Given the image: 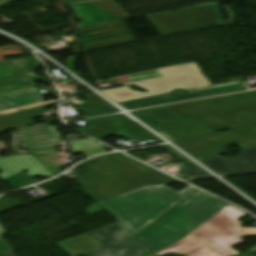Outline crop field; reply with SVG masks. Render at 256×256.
I'll use <instances>...</instances> for the list:
<instances>
[{
	"instance_id": "8a807250",
	"label": "crop field",
	"mask_w": 256,
	"mask_h": 256,
	"mask_svg": "<svg viewBox=\"0 0 256 256\" xmlns=\"http://www.w3.org/2000/svg\"><path fill=\"white\" fill-rule=\"evenodd\" d=\"M100 162L90 164L91 171L76 179L97 202L150 184L177 180L118 153L96 157Z\"/></svg>"
},
{
	"instance_id": "ac0d7876",
	"label": "crop field",
	"mask_w": 256,
	"mask_h": 256,
	"mask_svg": "<svg viewBox=\"0 0 256 256\" xmlns=\"http://www.w3.org/2000/svg\"><path fill=\"white\" fill-rule=\"evenodd\" d=\"M245 213L226 206L182 240L157 256H232L239 254L230 247L242 242L239 237L256 236V228H240L238 218Z\"/></svg>"
},
{
	"instance_id": "34b2d1b8",
	"label": "crop field",
	"mask_w": 256,
	"mask_h": 256,
	"mask_svg": "<svg viewBox=\"0 0 256 256\" xmlns=\"http://www.w3.org/2000/svg\"><path fill=\"white\" fill-rule=\"evenodd\" d=\"M195 190L188 186L178 193L162 185H151L100 204L136 236Z\"/></svg>"
},
{
	"instance_id": "412701ff",
	"label": "crop field",
	"mask_w": 256,
	"mask_h": 256,
	"mask_svg": "<svg viewBox=\"0 0 256 256\" xmlns=\"http://www.w3.org/2000/svg\"><path fill=\"white\" fill-rule=\"evenodd\" d=\"M226 205L198 191L137 237L156 254L182 239Z\"/></svg>"
},
{
	"instance_id": "f4fd0767",
	"label": "crop field",
	"mask_w": 256,
	"mask_h": 256,
	"mask_svg": "<svg viewBox=\"0 0 256 256\" xmlns=\"http://www.w3.org/2000/svg\"><path fill=\"white\" fill-rule=\"evenodd\" d=\"M56 244L71 256H141L149 252L118 222ZM10 249L0 237V256H14Z\"/></svg>"
},
{
	"instance_id": "dd49c442",
	"label": "crop field",
	"mask_w": 256,
	"mask_h": 256,
	"mask_svg": "<svg viewBox=\"0 0 256 256\" xmlns=\"http://www.w3.org/2000/svg\"><path fill=\"white\" fill-rule=\"evenodd\" d=\"M162 35L225 24L217 5H205L147 17Z\"/></svg>"
},
{
	"instance_id": "e52e79f7",
	"label": "crop field",
	"mask_w": 256,
	"mask_h": 256,
	"mask_svg": "<svg viewBox=\"0 0 256 256\" xmlns=\"http://www.w3.org/2000/svg\"><path fill=\"white\" fill-rule=\"evenodd\" d=\"M40 64L36 57L0 62V96L33 88V81H42L33 72Z\"/></svg>"
},
{
	"instance_id": "d8731c3e",
	"label": "crop field",
	"mask_w": 256,
	"mask_h": 256,
	"mask_svg": "<svg viewBox=\"0 0 256 256\" xmlns=\"http://www.w3.org/2000/svg\"><path fill=\"white\" fill-rule=\"evenodd\" d=\"M228 133L229 134L224 137L214 134L175 141L173 143H175L177 146H179L191 156L195 157L256 134V126L233 130L229 131ZM238 144L242 146L245 150L256 148V136L238 142Z\"/></svg>"
},
{
	"instance_id": "5a996713",
	"label": "crop field",
	"mask_w": 256,
	"mask_h": 256,
	"mask_svg": "<svg viewBox=\"0 0 256 256\" xmlns=\"http://www.w3.org/2000/svg\"><path fill=\"white\" fill-rule=\"evenodd\" d=\"M230 83L217 85V86H208L204 88H199L196 92L184 93V94H164L155 97L145 98L141 100L120 103L126 109H137L146 106L166 104L174 101H183L196 98H202L207 96L232 93L241 91L242 88L239 83L245 82L242 78L230 80Z\"/></svg>"
},
{
	"instance_id": "3316defc",
	"label": "crop field",
	"mask_w": 256,
	"mask_h": 256,
	"mask_svg": "<svg viewBox=\"0 0 256 256\" xmlns=\"http://www.w3.org/2000/svg\"><path fill=\"white\" fill-rule=\"evenodd\" d=\"M190 120L205 128L221 127L225 130L252 126L256 125V106L194 117Z\"/></svg>"
},
{
	"instance_id": "28ad6ade",
	"label": "crop field",
	"mask_w": 256,
	"mask_h": 256,
	"mask_svg": "<svg viewBox=\"0 0 256 256\" xmlns=\"http://www.w3.org/2000/svg\"><path fill=\"white\" fill-rule=\"evenodd\" d=\"M22 148L31 153L55 152L58 134L55 126L48 124L18 129Z\"/></svg>"
},
{
	"instance_id": "d1516ede",
	"label": "crop field",
	"mask_w": 256,
	"mask_h": 256,
	"mask_svg": "<svg viewBox=\"0 0 256 256\" xmlns=\"http://www.w3.org/2000/svg\"><path fill=\"white\" fill-rule=\"evenodd\" d=\"M100 28H103L104 30L81 34V32L100 29ZM78 31L82 37V39H80V40L82 42L84 51L90 50V49H95V48H100V47H104V46L134 41L131 34L129 33L126 26L124 25L123 21L106 24V25H101V26H96V27L80 29ZM106 32H109L110 34L84 38L87 36H92V35L106 33ZM110 37H113V38H110ZM104 38H110V39H105V40H101V41L88 43L89 41H92V40H98V39H104Z\"/></svg>"
},
{
	"instance_id": "22f410ed",
	"label": "crop field",
	"mask_w": 256,
	"mask_h": 256,
	"mask_svg": "<svg viewBox=\"0 0 256 256\" xmlns=\"http://www.w3.org/2000/svg\"><path fill=\"white\" fill-rule=\"evenodd\" d=\"M239 153L241 156L231 159L213 156L199 161L220 175L256 171V149Z\"/></svg>"
},
{
	"instance_id": "cbeb9de0",
	"label": "crop field",
	"mask_w": 256,
	"mask_h": 256,
	"mask_svg": "<svg viewBox=\"0 0 256 256\" xmlns=\"http://www.w3.org/2000/svg\"><path fill=\"white\" fill-rule=\"evenodd\" d=\"M0 178L4 179L21 171L28 170L31 176H53L32 155H21L0 159Z\"/></svg>"
},
{
	"instance_id": "5142ce71",
	"label": "crop field",
	"mask_w": 256,
	"mask_h": 256,
	"mask_svg": "<svg viewBox=\"0 0 256 256\" xmlns=\"http://www.w3.org/2000/svg\"><path fill=\"white\" fill-rule=\"evenodd\" d=\"M72 8L80 19L78 24L81 27L114 20L95 1L73 5Z\"/></svg>"
},
{
	"instance_id": "d9b57169",
	"label": "crop field",
	"mask_w": 256,
	"mask_h": 256,
	"mask_svg": "<svg viewBox=\"0 0 256 256\" xmlns=\"http://www.w3.org/2000/svg\"><path fill=\"white\" fill-rule=\"evenodd\" d=\"M165 108L174 111L180 115L194 116L227 111L226 109L215 105L210 99L165 106Z\"/></svg>"
},
{
	"instance_id": "733c2abd",
	"label": "crop field",
	"mask_w": 256,
	"mask_h": 256,
	"mask_svg": "<svg viewBox=\"0 0 256 256\" xmlns=\"http://www.w3.org/2000/svg\"><path fill=\"white\" fill-rule=\"evenodd\" d=\"M41 101L39 93L34 88L0 97V111Z\"/></svg>"
},
{
	"instance_id": "4a817a6b",
	"label": "crop field",
	"mask_w": 256,
	"mask_h": 256,
	"mask_svg": "<svg viewBox=\"0 0 256 256\" xmlns=\"http://www.w3.org/2000/svg\"><path fill=\"white\" fill-rule=\"evenodd\" d=\"M215 104L228 110L256 105L255 91L229 95L224 97L212 98Z\"/></svg>"
},
{
	"instance_id": "bc2a9ffb",
	"label": "crop field",
	"mask_w": 256,
	"mask_h": 256,
	"mask_svg": "<svg viewBox=\"0 0 256 256\" xmlns=\"http://www.w3.org/2000/svg\"><path fill=\"white\" fill-rule=\"evenodd\" d=\"M28 126V118L24 112L0 117V131Z\"/></svg>"
},
{
	"instance_id": "214f88e0",
	"label": "crop field",
	"mask_w": 256,
	"mask_h": 256,
	"mask_svg": "<svg viewBox=\"0 0 256 256\" xmlns=\"http://www.w3.org/2000/svg\"><path fill=\"white\" fill-rule=\"evenodd\" d=\"M43 165H45L54 175L61 172V165L57 154L34 155Z\"/></svg>"
},
{
	"instance_id": "92a150f3",
	"label": "crop field",
	"mask_w": 256,
	"mask_h": 256,
	"mask_svg": "<svg viewBox=\"0 0 256 256\" xmlns=\"http://www.w3.org/2000/svg\"><path fill=\"white\" fill-rule=\"evenodd\" d=\"M97 2L117 20L130 17L112 0H98Z\"/></svg>"
},
{
	"instance_id": "dafd665d",
	"label": "crop field",
	"mask_w": 256,
	"mask_h": 256,
	"mask_svg": "<svg viewBox=\"0 0 256 256\" xmlns=\"http://www.w3.org/2000/svg\"><path fill=\"white\" fill-rule=\"evenodd\" d=\"M182 174L189 179L211 176L190 161L183 164Z\"/></svg>"
},
{
	"instance_id": "00972430",
	"label": "crop field",
	"mask_w": 256,
	"mask_h": 256,
	"mask_svg": "<svg viewBox=\"0 0 256 256\" xmlns=\"http://www.w3.org/2000/svg\"><path fill=\"white\" fill-rule=\"evenodd\" d=\"M4 180L8 182L13 189L37 183L35 179L30 178L29 176L22 173L6 178Z\"/></svg>"
},
{
	"instance_id": "a9b5d70f",
	"label": "crop field",
	"mask_w": 256,
	"mask_h": 256,
	"mask_svg": "<svg viewBox=\"0 0 256 256\" xmlns=\"http://www.w3.org/2000/svg\"><path fill=\"white\" fill-rule=\"evenodd\" d=\"M73 154H81L85 157L95 155L99 152H105V147L95 143L84 147L72 149Z\"/></svg>"
},
{
	"instance_id": "4177f3b9",
	"label": "crop field",
	"mask_w": 256,
	"mask_h": 256,
	"mask_svg": "<svg viewBox=\"0 0 256 256\" xmlns=\"http://www.w3.org/2000/svg\"><path fill=\"white\" fill-rule=\"evenodd\" d=\"M79 111L82 112L83 114H85L86 116L91 117V116L115 113V112H118L119 110L115 109L114 107H112L110 105H106V106L80 109Z\"/></svg>"
},
{
	"instance_id": "730fd06b",
	"label": "crop field",
	"mask_w": 256,
	"mask_h": 256,
	"mask_svg": "<svg viewBox=\"0 0 256 256\" xmlns=\"http://www.w3.org/2000/svg\"><path fill=\"white\" fill-rule=\"evenodd\" d=\"M82 97L84 98V100L86 101L89 107L107 104L105 101H103L94 93L83 94Z\"/></svg>"
},
{
	"instance_id": "eef30255",
	"label": "crop field",
	"mask_w": 256,
	"mask_h": 256,
	"mask_svg": "<svg viewBox=\"0 0 256 256\" xmlns=\"http://www.w3.org/2000/svg\"><path fill=\"white\" fill-rule=\"evenodd\" d=\"M55 102H57V99L51 100V101H46V102H41V103H36V104H31V105H27V106L17 107V108L1 111L0 115L15 112V111H20V110H24V109H29V108H33V107H38V106H42V105H47V104H51V103H55Z\"/></svg>"
},
{
	"instance_id": "ae1a2a85",
	"label": "crop field",
	"mask_w": 256,
	"mask_h": 256,
	"mask_svg": "<svg viewBox=\"0 0 256 256\" xmlns=\"http://www.w3.org/2000/svg\"><path fill=\"white\" fill-rule=\"evenodd\" d=\"M10 135H11V140H12V143H10V146L15 154L29 153L26 150H19L15 132L10 133Z\"/></svg>"
},
{
	"instance_id": "d3111659",
	"label": "crop field",
	"mask_w": 256,
	"mask_h": 256,
	"mask_svg": "<svg viewBox=\"0 0 256 256\" xmlns=\"http://www.w3.org/2000/svg\"><path fill=\"white\" fill-rule=\"evenodd\" d=\"M159 169L173 175L175 173L178 172L179 168H180V164H173V165H167V166H161L158 167Z\"/></svg>"
},
{
	"instance_id": "750c4746",
	"label": "crop field",
	"mask_w": 256,
	"mask_h": 256,
	"mask_svg": "<svg viewBox=\"0 0 256 256\" xmlns=\"http://www.w3.org/2000/svg\"><path fill=\"white\" fill-rule=\"evenodd\" d=\"M71 143H72V146H70V148L72 149V148L80 147V146L95 143V142L90 139H85V140H73L71 141Z\"/></svg>"
},
{
	"instance_id": "bd1437ed",
	"label": "crop field",
	"mask_w": 256,
	"mask_h": 256,
	"mask_svg": "<svg viewBox=\"0 0 256 256\" xmlns=\"http://www.w3.org/2000/svg\"><path fill=\"white\" fill-rule=\"evenodd\" d=\"M85 209L88 210V213H86L87 215L93 214L96 212H100V211H104V209L102 207H100L97 203L87 206V207H85Z\"/></svg>"
},
{
	"instance_id": "1d83c4d3",
	"label": "crop field",
	"mask_w": 256,
	"mask_h": 256,
	"mask_svg": "<svg viewBox=\"0 0 256 256\" xmlns=\"http://www.w3.org/2000/svg\"><path fill=\"white\" fill-rule=\"evenodd\" d=\"M41 109L42 108L36 109V110L27 111L26 113L29 115L30 119L40 118V117H43Z\"/></svg>"
},
{
	"instance_id": "120bbe31",
	"label": "crop field",
	"mask_w": 256,
	"mask_h": 256,
	"mask_svg": "<svg viewBox=\"0 0 256 256\" xmlns=\"http://www.w3.org/2000/svg\"><path fill=\"white\" fill-rule=\"evenodd\" d=\"M224 152H226V151H224L223 149H221V150L216 151V152H213V153L205 154V155H203V156H201V157H199V158H204V157L213 156V155H219V154H222V153H224ZM199 158H197V159H199Z\"/></svg>"
},
{
	"instance_id": "d32e631a",
	"label": "crop field",
	"mask_w": 256,
	"mask_h": 256,
	"mask_svg": "<svg viewBox=\"0 0 256 256\" xmlns=\"http://www.w3.org/2000/svg\"><path fill=\"white\" fill-rule=\"evenodd\" d=\"M4 131H1L0 133H2ZM7 147V146H6ZM5 147V145L2 143V141H0V154L2 151H5V150H8L7 148ZM0 158H5L3 156H0Z\"/></svg>"
},
{
	"instance_id": "5866460e",
	"label": "crop field",
	"mask_w": 256,
	"mask_h": 256,
	"mask_svg": "<svg viewBox=\"0 0 256 256\" xmlns=\"http://www.w3.org/2000/svg\"><path fill=\"white\" fill-rule=\"evenodd\" d=\"M69 4L72 3H77V2H81V1H86V0H67Z\"/></svg>"
},
{
	"instance_id": "028f5c9d",
	"label": "crop field",
	"mask_w": 256,
	"mask_h": 256,
	"mask_svg": "<svg viewBox=\"0 0 256 256\" xmlns=\"http://www.w3.org/2000/svg\"><path fill=\"white\" fill-rule=\"evenodd\" d=\"M5 232V230H3L1 227H0V236L3 235Z\"/></svg>"
},
{
	"instance_id": "e1f06a70",
	"label": "crop field",
	"mask_w": 256,
	"mask_h": 256,
	"mask_svg": "<svg viewBox=\"0 0 256 256\" xmlns=\"http://www.w3.org/2000/svg\"><path fill=\"white\" fill-rule=\"evenodd\" d=\"M7 1H9V0H0V5L7 2Z\"/></svg>"
},
{
	"instance_id": "0bd39190",
	"label": "crop field",
	"mask_w": 256,
	"mask_h": 256,
	"mask_svg": "<svg viewBox=\"0 0 256 256\" xmlns=\"http://www.w3.org/2000/svg\"><path fill=\"white\" fill-rule=\"evenodd\" d=\"M146 256H156V255H154V254L151 252L150 254H148V255H146Z\"/></svg>"
}]
</instances>
